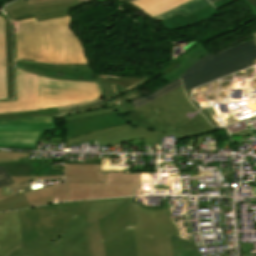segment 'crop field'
I'll list each match as a JSON object with an SVG mask.
<instances>
[{"label":"crop field","mask_w":256,"mask_h":256,"mask_svg":"<svg viewBox=\"0 0 256 256\" xmlns=\"http://www.w3.org/2000/svg\"><path fill=\"white\" fill-rule=\"evenodd\" d=\"M80 6L78 2L30 9L25 6L6 13L10 20L34 15L37 21L68 16L69 8Z\"/></svg>","instance_id":"crop-field-18"},{"label":"crop field","mask_w":256,"mask_h":256,"mask_svg":"<svg viewBox=\"0 0 256 256\" xmlns=\"http://www.w3.org/2000/svg\"><path fill=\"white\" fill-rule=\"evenodd\" d=\"M15 66H17L20 69L50 78L98 81L97 74L89 65L59 66L39 64L33 62L15 61Z\"/></svg>","instance_id":"crop-field-14"},{"label":"crop field","mask_w":256,"mask_h":256,"mask_svg":"<svg viewBox=\"0 0 256 256\" xmlns=\"http://www.w3.org/2000/svg\"><path fill=\"white\" fill-rule=\"evenodd\" d=\"M128 2L146 14L151 16L152 18L164 13L188 0H123Z\"/></svg>","instance_id":"crop-field-21"},{"label":"crop field","mask_w":256,"mask_h":256,"mask_svg":"<svg viewBox=\"0 0 256 256\" xmlns=\"http://www.w3.org/2000/svg\"><path fill=\"white\" fill-rule=\"evenodd\" d=\"M58 112L56 108L44 109V110H35V111H25V112H16V113H6L0 114V119H11L16 120L17 117L31 116V115H51V113Z\"/></svg>","instance_id":"crop-field-32"},{"label":"crop field","mask_w":256,"mask_h":256,"mask_svg":"<svg viewBox=\"0 0 256 256\" xmlns=\"http://www.w3.org/2000/svg\"><path fill=\"white\" fill-rule=\"evenodd\" d=\"M29 156L30 153L0 152V163L20 161L19 159Z\"/></svg>","instance_id":"crop-field-37"},{"label":"crop field","mask_w":256,"mask_h":256,"mask_svg":"<svg viewBox=\"0 0 256 256\" xmlns=\"http://www.w3.org/2000/svg\"><path fill=\"white\" fill-rule=\"evenodd\" d=\"M103 100L104 99L101 98L99 100L82 103L78 105L60 107L58 108L59 113H54L53 115L57 116V118H63L74 113L85 112V111L107 107V105L104 103Z\"/></svg>","instance_id":"crop-field-26"},{"label":"crop field","mask_w":256,"mask_h":256,"mask_svg":"<svg viewBox=\"0 0 256 256\" xmlns=\"http://www.w3.org/2000/svg\"><path fill=\"white\" fill-rule=\"evenodd\" d=\"M67 124V139L118 125L125 122L115 113L74 121ZM73 135V136H71Z\"/></svg>","instance_id":"crop-field-17"},{"label":"crop field","mask_w":256,"mask_h":256,"mask_svg":"<svg viewBox=\"0 0 256 256\" xmlns=\"http://www.w3.org/2000/svg\"><path fill=\"white\" fill-rule=\"evenodd\" d=\"M209 53L211 52L205 49L201 44L198 45L196 48H194L192 51L185 55L184 59L181 62L180 68L165 74V78L168 79L170 82L178 79L179 76L185 70H187L195 61Z\"/></svg>","instance_id":"crop-field-23"},{"label":"crop field","mask_w":256,"mask_h":256,"mask_svg":"<svg viewBox=\"0 0 256 256\" xmlns=\"http://www.w3.org/2000/svg\"><path fill=\"white\" fill-rule=\"evenodd\" d=\"M5 31H6V56H7V95L8 99H12V70H13V58H12V37H11V25L9 19L5 18Z\"/></svg>","instance_id":"crop-field-25"},{"label":"crop field","mask_w":256,"mask_h":256,"mask_svg":"<svg viewBox=\"0 0 256 256\" xmlns=\"http://www.w3.org/2000/svg\"><path fill=\"white\" fill-rule=\"evenodd\" d=\"M71 18L36 22L35 18L13 22L16 59L45 63L87 64L76 35L69 28Z\"/></svg>","instance_id":"crop-field-1"},{"label":"crop field","mask_w":256,"mask_h":256,"mask_svg":"<svg viewBox=\"0 0 256 256\" xmlns=\"http://www.w3.org/2000/svg\"><path fill=\"white\" fill-rule=\"evenodd\" d=\"M173 256H201L198 251L183 252L176 236H169Z\"/></svg>","instance_id":"crop-field-36"},{"label":"crop field","mask_w":256,"mask_h":256,"mask_svg":"<svg viewBox=\"0 0 256 256\" xmlns=\"http://www.w3.org/2000/svg\"><path fill=\"white\" fill-rule=\"evenodd\" d=\"M3 165L10 176H35L37 173L30 165V163H7Z\"/></svg>","instance_id":"crop-field-30"},{"label":"crop field","mask_w":256,"mask_h":256,"mask_svg":"<svg viewBox=\"0 0 256 256\" xmlns=\"http://www.w3.org/2000/svg\"><path fill=\"white\" fill-rule=\"evenodd\" d=\"M211 3H214V2H216V1H218V0H209ZM246 1H248L249 3H251L252 5H254V6H256V0H246Z\"/></svg>","instance_id":"crop-field-44"},{"label":"crop field","mask_w":256,"mask_h":256,"mask_svg":"<svg viewBox=\"0 0 256 256\" xmlns=\"http://www.w3.org/2000/svg\"><path fill=\"white\" fill-rule=\"evenodd\" d=\"M100 2H104V1H111V0H99Z\"/></svg>","instance_id":"crop-field-49"},{"label":"crop field","mask_w":256,"mask_h":256,"mask_svg":"<svg viewBox=\"0 0 256 256\" xmlns=\"http://www.w3.org/2000/svg\"><path fill=\"white\" fill-rule=\"evenodd\" d=\"M147 80H148V79H147ZM147 80H145V81H147ZM145 81H142V82H139V83H137V84H134V87H135V88L139 87V86H140L141 84H143ZM135 88H133V89H131V90H129V91H132V90H134ZM129 91H125V92H123V93H121V94H118V95H116V96H114V97H117V96H119V95L128 93ZM114 97H112V98H114ZM140 97H142V96L140 95V93H139L138 91L131 92V93H129V94H127V95H125V96L122 97L120 104H121V103H124V102H128V101L134 100V99H137V98H140ZM109 99H111V98H109ZM106 100H108V99H106ZM106 100H105V101H106ZM117 101H118V98H117V99H114V100L107 101V102H105V103H106L108 106H113V105H116Z\"/></svg>","instance_id":"crop-field-34"},{"label":"crop field","mask_w":256,"mask_h":256,"mask_svg":"<svg viewBox=\"0 0 256 256\" xmlns=\"http://www.w3.org/2000/svg\"><path fill=\"white\" fill-rule=\"evenodd\" d=\"M116 111V113L127 123L136 126L147 128L151 130H157L161 132H167L166 134L157 136V143L162 144V137L168 135H174L176 141L190 136H196L213 132L214 129L204 118L198 119L179 127H172L163 119V117L150 105L135 109L130 102L114 106V108L106 110H95L80 114H75L66 117V122L97 116L109 112Z\"/></svg>","instance_id":"crop-field-3"},{"label":"crop field","mask_w":256,"mask_h":256,"mask_svg":"<svg viewBox=\"0 0 256 256\" xmlns=\"http://www.w3.org/2000/svg\"><path fill=\"white\" fill-rule=\"evenodd\" d=\"M98 222L106 256H136L132 230L137 224L134 197Z\"/></svg>","instance_id":"crop-field-7"},{"label":"crop field","mask_w":256,"mask_h":256,"mask_svg":"<svg viewBox=\"0 0 256 256\" xmlns=\"http://www.w3.org/2000/svg\"><path fill=\"white\" fill-rule=\"evenodd\" d=\"M207 5H209V3L206 0H191L175 9L168 11L162 15H159L153 19L155 21H161V20L167 19L179 12H181L182 14H184L186 16V15H188L202 7H205Z\"/></svg>","instance_id":"crop-field-28"},{"label":"crop field","mask_w":256,"mask_h":256,"mask_svg":"<svg viewBox=\"0 0 256 256\" xmlns=\"http://www.w3.org/2000/svg\"><path fill=\"white\" fill-rule=\"evenodd\" d=\"M47 178H63V176H39L33 179H47Z\"/></svg>","instance_id":"crop-field-41"},{"label":"crop field","mask_w":256,"mask_h":256,"mask_svg":"<svg viewBox=\"0 0 256 256\" xmlns=\"http://www.w3.org/2000/svg\"><path fill=\"white\" fill-rule=\"evenodd\" d=\"M162 134L157 131H150L141 128H135L128 124L115 128L95 132L88 135H83L67 140V144H73L99 138L100 145H112L120 142H125L133 139L145 137V143L155 144L156 135ZM72 142V143H70Z\"/></svg>","instance_id":"crop-field-12"},{"label":"crop field","mask_w":256,"mask_h":256,"mask_svg":"<svg viewBox=\"0 0 256 256\" xmlns=\"http://www.w3.org/2000/svg\"><path fill=\"white\" fill-rule=\"evenodd\" d=\"M89 241L91 256H105L103 240L98 226V222L86 229Z\"/></svg>","instance_id":"crop-field-27"},{"label":"crop field","mask_w":256,"mask_h":256,"mask_svg":"<svg viewBox=\"0 0 256 256\" xmlns=\"http://www.w3.org/2000/svg\"><path fill=\"white\" fill-rule=\"evenodd\" d=\"M233 1H235V0H220V1L216 2V3H214L213 5L217 9H219V8L225 6V5H227V4H229V3L233 2Z\"/></svg>","instance_id":"crop-field-40"},{"label":"crop field","mask_w":256,"mask_h":256,"mask_svg":"<svg viewBox=\"0 0 256 256\" xmlns=\"http://www.w3.org/2000/svg\"><path fill=\"white\" fill-rule=\"evenodd\" d=\"M181 235L177 236L184 251L197 250L191 237L188 224L187 201H183L181 217H172Z\"/></svg>","instance_id":"crop-field-22"},{"label":"crop field","mask_w":256,"mask_h":256,"mask_svg":"<svg viewBox=\"0 0 256 256\" xmlns=\"http://www.w3.org/2000/svg\"><path fill=\"white\" fill-rule=\"evenodd\" d=\"M0 99H7L5 31H4V18L2 17H0Z\"/></svg>","instance_id":"crop-field-24"},{"label":"crop field","mask_w":256,"mask_h":256,"mask_svg":"<svg viewBox=\"0 0 256 256\" xmlns=\"http://www.w3.org/2000/svg\"><path fill=\"white\" fill-rule=\"evenodd\" d=\"M151 105L172 127L203 117L199 113L191 120L186 118V113L196 112L197 110L187 100L183 88L160 98L159 100L151 103Z\"/></svg>","instance_id":"crop-field-13"},{"label":"crop field","mask_w":256,"mask_h":256,"mask_svg":"<svg viewBox=\"0 0 256 256\" xmlns=\"http://www.w3.org/2000/svg\"><path fill=\"white\" fill-rule=\"evenodd\" d=\"M53 203V185L0 201V212Z\"/></svg>","instance_id":"crop-field-16"},{"label":"crop field","mask_w":256,"mask_h":256,"mask_svg":"<svg viewBox=\"0 0 256 256\" xmlns=\"http://www.w3.org/2000/svg\"><path fill=\"white\" fill-rule=\"evenodd\" d=\"M64 164H98V163H70V162H64Z\"/></svg>","instance_id":"crop-field-45"},{"label":"crop field","mask_w":256,"mask_h":256,"mask_svg":"<svg viewBox=\"0 0 256 256\" xmlns=\"http://www.w3.org/2000/svg\"><path fill=\"white\" fill-rule=\"evenodd\" d=\"M89 201L0 213V256L33 241H58L71 214H86Z\"/></svg>","instance_id":"crop-field-2"},{"label":"crop field","mask_w":256,"mask_h":256,"mask_svg":"<svg viewBox=\"0 0 256 256\" xmlns=\"http://www.w3.org/2000/svg\"><path fill=\"white\" fill-rule=\"evenodd\" d=\"M252 10L254 16H256V8L254 6H252L251 4H249L248 2H246L245 0H243Z\"/></svg>","instance_id":"crop-field-43"},{"label":"crop field","mask_w":256,"mask_h":256,"mask_svg":"<svg viewBox=\"0 0 256 256\" xmlns=\"http://www.w3.org/2000/svg\"><path fill=\"white\" fill-rule=\"evenodd\" d=\"M181 86H182L181 80L178 79L174 82H171V83L165 85L164 87L160 88L159 90L155 91L154 93H152L150 95H147L145 97H142V98L134 100V101H131V103L133 104V106L135 108L143 106L145 104H148V103L174 91L175 89H177Z\"/></svg>","instance_id":"crop-field-29"},{"label":"crop field","mask_w":256,"mask_h":256,"mask_svg":"<svg viewBox=\"0 0 256 256\" xmlns=\"http://www.w3.org/2000/svg\"><path fill=\"white\" fill-rule=\"evenodd\" d=\"M220 15L218 10L213 6L209 5L203 9H200L188 16H184L181 13L162 21V23L170 30H176L181 28H186L209 18Z\"/></svg>","instance_id":"crop-field-19"},{"label":"crop field","mask_w":256,"mask_h":256,"mask_svg":"<svg viewBox=\"0 0 256 256\" xmlns=\"http://www.w3.org/2000/svg\"><path fill=\"white\" fill-rule=\"evenodd\" d=\"M87 1H90V0H79V3L82 4V3L87 2Z\"/></svg>","instance_id":"crop-field-46"},{"label":"crop field","mask_w":256,"mask_h":256,"mask_svg":"<svg viewBox=\"0 0 256 256\" xmlns=\"http://www.w3.org/2000/svg\"><path fill=\"white\" fill-rule=\"evenodd\" d=\"M252 36H253V38H254V40H255V42H256V33L253 34Z\"/></svg>","instance_id":"crop-field-48"},{"label":"crop field","mask_w":256,"mask_h":256,"mask_svg":"<svg viewBox=\"0 0 256 256\" xmlns=\"http://www.w3.org/2000/svg\"><path fill=\"white\" fill-rule=\"evenodd\" d=\"M47 1H54V0H27L28 4L47 2Z\"/></svg>","instance_id":"crop-field-42"},{"label":"crop field","mask_w":256,"mask_h":256,"mask_svg":"<svg viewBox=\"0 0 256 256\" xmlns=\"http://www.w3.org/2000/svg\"><path fill=\"white\" fill-rule=\"evenodd\" d=\"M51 165L52 163H41L43 175H63V169L52 170Z\"/></svg>","instance_id":"crop-field-38"},{"label":"crop field","mask_w":256,"mask_h":256,"mask_svg":"<svg viewBox=\"0 0 256 256\" xmlns=\"http://www.w3.org/2000/svg\"><path fill=\"white\" fill-rule=\"evenodd\" d=\"M254 59H256V44L251 39L218 55L211 53L199 59L180 77L186 91L249 67Z\"/></svg>","instance_id":"crop-field-4"},{"label":"crop field","mask_w":256,"mask_h":256,"mask_svg":"<svg viewBox=\"0 0 256 256\" xmlns=\"http://www.w3.org/2000/svg\"><path fill=\"white\" fill-rule=\"evenodd\" d=\"M86 215H72L58 242H33L12 251L8 256H90L84 222Z\"/></svg>","instance_id":"crop-field-6"},{"label":"crop field","mask_w":256,"mask_h":256,"mask_svg":"<svg viewBox=\"0 0 256 256\" xmlns=\"http://www.w3.org/2000/svg\"><path fill=\"white\" fill-rule=\"evenodd\" d=\"M101 98L96 83L67 82L39 76V109L60 107Z\"/></svg>","instance_id":"crop-field-8"},{"label":"crop field","mask_w":256,"mask_h":256,"mask_svg":"<svg viewBox=\"0 0 256 256\" xmlns=\"http://www.w3.org/2000/svg\"><path fill=\"white\" fill-rule=\"evenodd\" d=\"M253 191H254V196H256V187H252Z\"/></svg>","instance_id":"crop-field-47"},{"label":"crop field","mask_w":256,"mask_h":256,"mask_svg":"<svg viewBox=\"0 0 256 256\" xmlns=\"http://www.w3.org/2000/svg\"><path fill=\"white\" fill-rule=\"evenodd\" d=\"M163 205L162 208H145L135 204L138 224L133 230L137 256H172L168 235L179 232L170 218L168 203Z\"/></svg>","instance_id":"crop-field-5"},{"label":"crop field","mask_w":256,"mask_h":256,"mask_svg":"<svg viewBox=\"0 0 256 256\" xmlns=\"http://www.w3.org/2000/svg\"><path fill=\"white\" fill-rule=\"evenodd\" d=\"M52 128L51 116H31L0 121V146L35 149L45 129Z\"/></svg>","instance_id":"crop-field-10"},{"label":"crop field","mask_w":256,"mask_h":256,"mask_svg":"<svg viewBox=\"0 0 256 256\" xmlns=\"http://www.w3.org/2000/svg\"><path fill=\"white\" fill-rule=\"evenodd\" d=\"M100 165H64V183L54 185V197L67 201V182H105V174L99 173Z\"/></svg>","instance_id":"crop-field-15"},{"label":"crop field","mask_w":256,"mask_h":256,"mask_svg":"<svg viewBox=\"0 0 256 256\" xmlns=\"http://www.w3.org/2000/svg\"><path fill=\"white\" fill-rule=\"evenodd\" d=\"M75 1H78V0H61V1L40 3V4H32V5H29V6H30V8H33V7L46 6V5H54V4L75 2ZM25 5H28L25 0H19V1L15 2V3L9 5L8 7H6L5 11L8 12V11H11V10H15V9H18V8L23 7Z\"/></svg>","instance_id":"crop-field-35"},{"label":"crop field","mask_w":256,"mask_h":256,"mask_svg":"<svg viewBox=\"0 0 256 256\" xmlns=\"http://www.w3.org/2000/svg\"><path fill=\"white\" fill-rule=\"evenodd\" d=\"M140 195L139 173L106 174V183H68V201Z\"/></svg>","instance_id":"crop-field-9"},{"label":"crop field","mask_w":256,"mask_h":256,"mask_svg":"<svg viewBox=\"0 0 256 256\" xmlns=\"http://www.w3.org/2000/svg\"><path fill=\"white\" fill-rule=\"evenodd\" d=\"M10 184H14V181L11 179V177L3 168V166H1L0 167V188Z\"/></svg>","instance_id":"crop-field-39"},{"label":"crop field","mask_w":256,"mask_h":256,"mask_svg":"<svg viewBox=\"0 0 256 256\" xmlns=\"http://www.w3.org/2000/svg\"><path fill=\"white\" fill-rule=\"evenodd\" d=\"M147 78H150V77H147ZM147 78L136 79V78H131V77L101 75L99 81L118 83V84L126 87L128 90L133 87L132 84L137 83L142 80H145Z\"/></svg>","instance_id":"crop-field-31"},{"label":"crop field","mask_w":256,"mask_h":256,"mask_svg":"<svg viewBox=\"0 0 256 256\" xmlns=\"http://www.w3.org/2000/svg\"><path fill=\"white\" fill-rule=\"evenodd\" d=\"M128 198L129 197L90 201L85 221L90 224L94 223L98 219L110 214L126 202Z\"/></svg>","instance_id":"crop-field-20"},{"label":"crop field","mask_w":256,"mask_h":256,"mask_svg":"<svg viewBox=\"0 0 256 256\" xmlns=\"http://www.w3.org/2000/svg\"><path fill=\"white\" fill-rule=\"evenodd\" d=\"M15 100L0 101V113L38 109V76L15 68Z\"/></svg>","instance_id":"crop-field-11"},{"label":"crop field","mask_w":256,"mask_h":256,"mask_svg":"<svg viewBox=\"0 0 256 256\" xmlns=\"http://www.w3.org/2000/svg\"><path fill=\"white\" fill-rule=\"evenodd\" d=\"M32 178L33 177H12L16 184L1 188L0 200L16 195V191H13L11 194L8 191L25 187L23 183L30 181Z\"/></svg>","instance_id":"crop-field-33"}]
</instances>
